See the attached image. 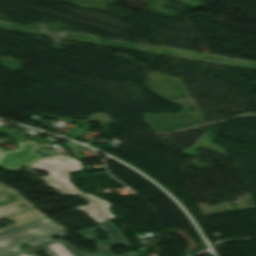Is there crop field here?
Returning <instances> with one entry per match:
<instances>
[{
  "instance_id": "obj_7",
  "label": "crop field",
  "mask_w": 256,
  "mask_h": 256,
  "mask_svg": "<svg viewBox=\"0 0 256 256\" xmlns=\"http://www.w3.org/2000/svg\"><path fill=\"white\" fill-rule=\"evenodd\" d=\"M41 217H44V215L39 213L35 208L23 211L21 213H18L16 215L6 218L7 220L12 221L16 224L0 228V231L9 227L17 226V225L41 218Z\"/></svg>"
},
{
  "instance_id": "obj_8",
  "label": "crop field",
  "mask_w": 256,
  "mask_h": 256,
  "mask_svg": "<svg viewBox=\"0 0 256 256\" xmlns=\"http://www.w3.org/2000/svg\"><path fill=\"white\" fill-rule=\"evenodd\" d=\"M7 190H11V189L0 183V192L7 191Z\"/></svg>"
},
{
  "instance_id": "obj_5",
  "label": "crop field",
  "mask_w": 256,
  "mask_h": 256,
  "mask_svg": "<svg viewBox=\"0 0 256 256\" xmlns=\"http://www.w3.org/2000/svg\"><path fill=\"white\" fill-rule=\"evenodd\" d=\"M32 207L15 190L0 194V218Z\"/></svg>"
},
{
  "instance_id": "obj_3",
  "label": "crop field",
  "mask_w": 256,
  "mask_h": 256,
  "mask_svg": "<svg viewBox=\"0 0 256 256\" xmlns=\"http://www.w3.org/2000/svg\"><path fill=\"white\" fill-rule=\"evenodd\" d=\"M99 226L100 227H98V228H102L104 231H106L108 233V237L110 238L111 241L108 240L109 242H104V241L97 240L95 238L97 235L93 232V230L98 229V228L82 229V230L78 231V233L82 236H85V237L95 241L97 243V247H98L97 253H99L101 256H116L108 250L109 247L114 244L127 245L128 243L121 236V234L116 230V228L111 224L110 221H105L103 223H100ZM124 256H137V255L129 252Z\"/></svg>"
},
{
  "instance_id": "obj_6",
  "label": "crop field",
  "mask_w": 256,
  "mask_h": 256,
  "mask_svg": "<svg viewBox=\"0 0 256 256\" xmlns=\"http://www.w3.org/2000/svg\"><path fill=\"white\" fill-rule=\"evenodd\" d=\"M46 249V253L51 256H96L95 254L89 253H81L71 247L68 243L64 240H53L41 245ZM11 256H36L35 254L31 253L28 254L24 251L19 253L13 254Z\"/></svg>"
},
{
  "instance_id": "obj_1",
  "label": "crop field",
  "mask_w": 256,
  "mask_h": 256,
  "mask_svg": "<svg viewBox=\"0 0 256 256\" xmlns=\"http://www.w3.org/2000/svg\"><path fill=\"white\" fill-rule=\"evenodd\" d=\"M63 227L45 218L20 227L0 232V256L21 251L19 245L35 246L50 241L53 236L66 235Z\"/></svg>"
},
{
  "instance_id": "obj_4",
  "label": "crop field",
  "mask_w": 256,
  "mask_h": 256,
  "mask_svg": "<svg viewBox=\"0 0 256 256\" xmlns=\"http://www.w3.org/2000/svg\"><path fill=\"white\" fill-rule=\"evenodd\" d=\"M79 196L90 204L87 206L77 207V209L81 210L87 216L98 223L112 218L111 214L107 210V208L110 207L109 202L86 193Z\"/></svg>"
},
{
  "instance_id": "obj_2",
  "label": "crop field",
  "mask_w": 256,
  "mask_h": 256,
  "mask_svg": "<svg viewBox=\"0 0 256 256\" xmlns=\"http://www.w3.org/2000/svg\"><path fill=\"white\" fill-rule=\"evenodd\" d=\"M29 167L38 168L50 173V176L43 178L35 176L33 177L44 181L46 184H48L61 195H79L82 193L68 182V176L72 172L81 169V166L78 161L66 164L61 159L52 156L43 159ZM58 176H62L63 178H60ZM46 179H48L49 181L46 182Z\"/></svg>"
}]
</instances>
